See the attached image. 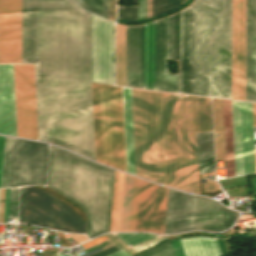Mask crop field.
I'll use <instances>...</instances> for the list:
<instances>
[{"mask_svg": "<svg viewBox=\"0 0 256 256\" xmlns=\"http://www.w3.org/2000/svg\"><path fill=\"white\" fill-rule=\"evenodd\" d=\"M155 21L144 25V88L154 89Z\"/></svg>", "mask_w": 256, "mask_h": 256, "instance_id": "crop-field-20", "label": "crop field"}, {"mask_svg": "<svg viewBox=\"0 0 256 256\" xmlns=\"http://www.w3.org/2000/svg\"><path fill=\"white\" fill-rule=\"evenodd\" d=\"M137 256H175V253L169 241Z\"/></svg>", "mask_w": 256, "mask_h": 256, "instance_id": "crop-field-29", "label": "crop field"}, {"mask_svg": "<svg viewBox=\"0 0 256 256\" xmlns=\"http://www.w3.org/2000/svg\"><path fill=\"white\" fill-rule=\"evenodd\" d=\"M8 195H9V188L6 189L4 223H7Z\"/></svg>", "mask_w": 256, "mask_h": 256, "instance_id": "crop-field-45", "label": "crop field"}, {"mask_svg": "<svg viewBox=\"0 0 256 256\" xmlns=\"http://www.w3.org/2000/svg\"><path fill=\"white\" fill-rule=\"evenodd\" d=\"M116 85L125 86V26L116 24Z\"/></svg>", "mask_w": 256, "mask_h": 256, "instance_id": "crop-field-25", "label": "crop field"}, {"mask_svg": "<svg viewBox=\"0 0 256 256\" xmlns=\"http://www.w3.org/2000/svg\"><path fill=\"white\" fill-rule=\"evenodd\" d=\"M166 11V0H152V16Z\"/></svg>", "mask_w": 256, "mask_h": 256, "instance_id": "crop-field-34", "label": "crop field"}, {"mask_svg": "<svg viewBox=\"0 0 256 256\" xmlns=\"http://www.w3.org/2000/svg\"><path fill=\"white\" fill-rule=\"evenodd\" d=\"M5 189H1L0 197V223H3Z\"/></svg>", "mask_w": 256, "mask_h": 256, "instance_id": "crop-field-41", "label": "crop field"}, {"mask_svg": "<svg viewBox=\"0 0 256 256\" xmlns=\"http://www.w3.org/2000/svg\"><path fill=\"white\" fill-rule=\"evenodd\" d=\"M0 134L16 136L12 65H0Z\"/></svg>", "mask_w": 256, "mask_h": 256, "instance_id": "crop-field-15", "label": "crop field"}, {"mask_svg": "<svg viewBox=\"0 0 256 256\" xmlns=\"http://www.w3.org/2000/svg\"><path fill=\"white\" fill-rule=\"evenodd\" d=\"M167 58H174V14L168 17Z\"/></svg>", "mask_w": 256, "mask_h": 256, "instance_id": "crop-field-31", "label": "crop field"}, {"mask_svg": "<svg viewBox=\"0 0 256 256\" xmlns=\"http://www.w3.org/2000/svg\"><path fill=\"white\" fill-rule=\"evenodd\" d=\"M180 240L186 256H222L215 238L193 237Z\"/></svg>", "mask_w": 256, "mask_h": 256, "instance_id": "crop-field-22", "label": "crop field"}, {"mask_svg": "<svg viewBox=\"0 0 256 256\" xmlns=\"http://www.w3.org/2000/svg\"><path fill=\"white\" fill-rule=\"evenodd\" d=\"M226 177L234 176L230 101L222 100Z\"/></svg>", "mask_w": 256, "mask_h": 256, "instance_id": "crop-field-24", "label": "crop field"}, {"mask_svg": "<svg viewBox=\"0 0 256 256\" xmlns=\"http://www.w3.org/2000/svg\"><path fill=\"white\" fill-rule=\"evenodd\" d=\"M167 188L140 179L135 231L163 234Z\"/></svg>", "mask_w": 256, "mask_h": 256, "instance_id": "crop-field-12", "label": "crop field"}, {"mask_svg": "<svg viewBox=\"0 0 256 256\" xmlns=\"http://www.w3.org/2000/svg\"><path fill=\"white\" fill-rule=\"evenodd\" d=\"M196 141L200 174L214 171L212 131L196 134Z\"/></svg>", "mask_w": 256, "mask_h": 256, "instance_id": "crop-field-23", "label": "crop field"}, {"mask_svg": "<svg viewBox=\"0 0 256 256\" xmlns=\"http://www.w3.org/2000/svg\"><path fill=\"white\" fill-rule=\"evenodd\" d=\"M25 187H21L19 223H23Z\"/></svg>", "mask_w": 256, "mask_h": 256, "instance_id": "crop-field-38", "label": "crop field"}, {"mask_svg": "<svg viewBox=\"0 0 256 256\" xmlns=\"http://www.w3.org/2000/svg\"><path fill=\"white\" fill-rule=\"evenodd\" d=\"M232 0H209L208 96L231 99ZM246 0H233L232 99L245 100Z\"/></svg>", "mask_w": 256, "mask_h": 256, "instance_id": "crop-field-3", "label": "crop field"}, {"mask_svg": "<svg viewBox=\"0 0 256 256\" xmlns=\"http://www.w3.org/2000/svg\"><path fill=\"white\" fill-rule=\"evenodd\" d=\"M236 176L255 173L251 103L232 101Z\"/></svg>", "mask_w": 256, "mask_h": 256, "instance_id": "crop-field-11", "label": "crop field"}, {"mask_svg": "<svg viewBox=\"0 0 256 256\" xmlns=\"http://www.w3.org/2000/svg\"><path fill=\"white\" fill-rule=\"evenodd\" d=\"M139 179L126 175L119 231H134Z\"/></svg>", "mask_w": 256, "mask_h": 256, "instance_id": "crop-field-19", "label": "crop field"}, {"mask_svg": "<svg viewBox=\"0 0 256 256\" xmlns=\"http://www.w3.org/2000/svg\"><path fill=\"white\" fill-rule=\"evenodd\" d=\"M117 176H118V172H117V171H115L110 231H112V226H113V216H114V206H115V196H116Z\"/></svg>", "mask_w": 256, "mask_h": 256, "instance_id": "crop-field-37", "label": "crop field"}, {"mask_svg": "<svg viewBox=\"0 0 256 256\" xmlns=\"http://www.w3.org/2000/svg\"><path fill=\"white\" fill-rule=\"evenodd\" d=\"M171 242H172V245L174 247L176 256H185L182 245L180 243V240L177 239V240H173Z\"/></svg>", "mask_w": 256, "mask_h": 256, "instance_id": "crop-field-39", "label": "crop field"}, {"mask_svg": "<svg viewBox=\"0 0 256 256\" xmlns=\"http://www.w3.org/2000/svg\"><path fill=\"white\" fill-rule=\"evenodd\" d=\"M24 223L66 232L84 233L85 221L51 194L26 187Z\"/></svg>", "mask_w": 256, "mask_h": 256, "instance_id": "crop-field-7", "label": "crop field"}, {"mask_svg": "<svg viewBox=\"0 0 256 256\" xmlns=\"http://www.w3.org/2000/svg\"><path fill=\"white\" fill-rule=\"evenodd\" d=\"M49 145L13 138L9 187L45 185Z\"/></svg>", "mask_w": 256, "mask_h": 256, "instance_id": "crop-field-8", "label": "crop field"}, {"mask_svg": "<svg viewBox=\"0 0 256 256\" xmlns=\"http://www.w3.org/2000/svg\"><path fill=\"white\" fill-rule=\"evenodd\" d=\"M151 17V0H147V18Z\"/></svg>", "mask_w": 256, "mask_h": 256, "instance_id": "crop-field-48", "label": "crop field"}, {"mask_svg": "<svg viewBox=\"0 0 256 256\" xmlns=\"http://www.w3.org/2000/svg\"><path fill=\"white\" fill-rule=\"evenodd\" d=\"M252 109H253L254 126H256V104L252 103Z\"/></svg>", "mask_w": 256, "mask_h": 256, "instance_id": "crop-field-49", "label": "crop field"}, {"mask_svg": "<svg viewBox=\"0 0 256 256\" xmlns=\"http://www.w3.org/2000/svg\"><path fill=\"white\" fill-rule=\"evenodd\" d=\"M0 63H21V0H0Z\"/></svg>", "mask_w": 256, "mask_h": 256, "instance_id": "crop-field-13", "label": "crop field"}, {"mask_svg": "<svg viewBox=\"0 0 256 256\" xmlns=\"http://www.w3.org/2000/svg\"><path fill=\"white\" fill-rule=\"evenodd\" d=\"M136 175L199 194L195 133L212 130L210 98L131 88Z\"/></svg>", "mask_w": 256, "mask_h": 256, "instance_id": "crop-field-2", "label": "crop field"}, {"mask_svg": "<svg viewBox=\"0 0 256 256\" xmlns=\"http://www.w3.org/2000/svg\"><path fill=\"white\" fill-rule=\"evenodd\" d=\"M127 171L135 175L130 88L122 87Z\"/></svg>", "mask_w": 256, "mask_h": 256, "instance_id": "crop-field-21", "label": "crop field"}, {"mask_svg": "<svg viewBox=\"0 0 256 256\" xmlns=\"http://www.w3.org/2000/svg\"><path fill=\"white\" fill-rule=\"evenodd\" d=\"M182 4V0H167V11H170Z\"/></svg>", "mask_w": 256, "mask_h": 256, "instance_id": "crop-field-42", "label": "crop field"}, {"mask_svg": "<svg viewBox=\"0 0 256 256\" xmlns=\"http://www.w3.org/2000/svg\"><path fill=\"white\" fill-rule=\"evenodd\" d=\"M91 89L96 160L126 171L121 87Z\"/></svg>", "mask_w": 256, "mask_h": 256, "instance_id": "crop-field-6", "label": "crop field"}, {"mask_svg": "<svg viewBox=\"0 0 256 256\" xmlns=\"http://www.w3.org/2000/svg\"><path fill=\"white\" fill-rule=\"evenodd\" d=\"M91 81L114 84V23L92 14Z\"/></svg>", "mask_w": 256, "mask_h": 256, "instance_id": "crop-field-9", "label": "crop field"}, {"mask_svg": "<svg viewBox=\"0 0 256 256\" xmlns=\"http://www.w3.org/2000/svg\"><path fill=\"white\" fill-rule=\"evenodd\" d=\"M126 86L143 88V25L126 26Z\"/></svg>", "mask_w": 256, "mask_h": 256, "instance_id": "crop-field-14", "label": "crop field"}, {"mask_svg": "<svg viewBox=\"0 0 256 256\" xmlns=\"http://www.w3.org/2000/svg\"><path fill=\"white\" fill-rule=\"evenodd\" d=\"M119 249H121V248L119 246L115 245V246H113V247H111L109 249H106V250H104V251H102L100 253H97V254H95L93 256H105V255H108V254H110V253H112L114 251H117Z\"/></svg>", "mask_w": 256, "mask_h": 256, "instance_id": "crop-field-43", "label": "crop field"}, {"mask_svg": "<svg viewBox=\"0 0 256 256\" xmlns=\"http://www.w3.org/2000/svg\"><path fill=\"white\" fill-rule=\"evenodd\" d=\"M208 0L180 12V92L207 96Z\"/></svg>", "mask_w": 256, "mask_h": 256, "instance_id": "crop-field-5", "label": "crop field"}, {"mask_svg": "<svg viewBox=\"0 0 256 256\" xmlns=\"http://www.w3.org/2000/svg\"><path fill=\"white\" fill-rule=\"evenodd\" d=\"M56 233H57V236H58L59 241H60V246H71V244L64 237L63 233H60V232H56Z\"/></svg>", "mask_w": 256, "mask_h": 256, "instance_id": "crop-field-44", "label": "crop field"}, {"mask_svg": "<svg viewBox=\"0 0 256 256\" xmlns=\"http://www.w3.org/2000/svg\"><path fill=\"white\" fill-rule=\"evenodd\" d=\"M18 188H10L8 217H17Z\"/></svg>", "mask_w": 256, "mask_h": 256, "instance_id": "crop-field-32", "label": "crop field"}, {"mask_svg": "<svg viewBox=\"0 0 256 256\" xmlns=\"http://www.w3.org/2000/svg\"><path fill=\"white\" fill-rule=\"evenodd\" d=\"M167 17L156 21L155 89L177 92V74L166 73Z\"/></svg>", "mask_w": 256, "mask_h": 256, "instance_id": "crop-field-17", "label": "crop field"}, {"mask_svg": "<svg viewBox=\"0 0 256 256\" xmlns=\"http://www.w3.org/2000/svg\"><path fill=\"white\" fill-rule=\"evenodd\" d=\"M84 9L99 14L107 18V1L108 0H75Z\"/></svg>", "mask_w": 256, "mask_h": 256, "instance_id": "crop-field-26", "label": "crop field"}, {"mask_svg": "<svg viewBox=\"0 0 256 256\" xmlns=\"http://www.w3.org/2000/svg\"><path fill=\"white\" fill-rule=\"evenodd\" d=\"M17 136L37 139L33 65H13Z\"/></svg>", "mask_w": 256, "mask_h": 256, "instance_id": "crop-field-10", "label": "crop field"}, {"mask_svg": "<svg viewBox=\"0 0 256 256\" xmlns=\"http://www.w3.org/2000/svg\"><path fill=\"white\" fill-rule=\"evenodd\" d=\"M114 170L51 146L47 187L78 205L86 234L109 232Z\"/></svg>", "mask_w": 256, "mask_h": 256, "instance_id": "crop-field-4", "label": "crop field"}, {"mask_svg": "<svg viewBox=\"0 0 256 256\" xmlns=\"http://www.w3.org/2000/svg\"><path fill=\"white\" fill-rule=\"evenodd\" d=\"M137 6H118V17L127 20L136 19Z\"/></svg>", "mask_w": 256, "mask_h": 256, "instance_id": "crop-field-33", "label": "crop field"}, {"mask_svg": "<svg viewBox=\"0 0 256 256\" xmlns=\"http://www.w3.org/2000/svg\"><path fill=\"white\" fill-rule=\"evenodd\" d=\"M236 212L229 211L220 204L200 197L197 229L222 231L234 222Z\"/></svg>", "mask_w": 256, "mask_h": 256, "instance_id": "crop-field-18", "label": "crop field"}, {"mask_svg": "<svg viewBox=\"0 0 256 256\" xmlns=\"http://www.w3.org/2000/svg\"><path fill=\"white\" fill-rule=\"evenodd\" d=\"M216 239H217V238H216ZM219 240H220V242H221V245H222V248H223V250H224V253L226 254L225 249H224V246H223V243H222V240H221V239H219ZM219 240L217 239L219 246H221L220 243H219ZM222 248H220V249H221L222 254L224 255V253H223V251H222Z\"/></svg>", "mask_w": 256, "mask_h": 256, "instance_id": "crop-field-50", "label": "crop field"}, {"mask_svg": "<svg viewBox=\"0 0 256 256\" xmlns=\"http://www.w3.org/2000/svg\"><path fill=\"white\" fill-rule=\"evenodd\" d=\"M108 256H130L128 253H126L123 249L117 251V252H114Z\"/></svg>", "mask_w": 256, "mask_h": 256, "instance_id": "crop-field-47", "label": "crop field"}, {"mask_svg": "<svg viewBox=\"0 0 256 256\" xmlns=\"http://www.w3.org/2000/svg\"><path fill=\"white\" fill-rule=\"evenodd\" d=\"M22 62L35 63L39 139L95 160L90 14L72 0H22Z\"/></svg>", "mask_w": 256, "mask_h": 256, "instance_id": "crop-field-1", "label": "crop field"}, {"mask_svg": "<svg viewBox=\"0 0 256 256\" xmlns=\"http://www.w3.org/2000/svg\"><path fill=\"white\" fill-rule=\"evenodd\" d=\"M185 0H183V2H184Z\"/></svg>", "mask_w": 256, "mask_h": 256, "instance_id": "crop-field-51", "label": "crop field"}, {"mask_svg": "<svg viewBox=\"0 0 256 256\" xmlns=\"http://www.w3.org/2000/svg\"><path fill=\"white\" fill-rule=\"evenodd\" d=\"M246 100L256 102V0H247Z\"/></svg>", "mask_w": 256, "mask_h": 256, "instance_id": "crop-field-16", "label": "crop field"}, {"mask_svg": "<svg viewBox=\"0 0 256 256\" xmlns=\"http://www.w3.org/2000/svg\"><path fill=\"white\" fill-rule=\"evenodd\" d=\"M127 246L131 247L143 240L157 237L159 235L142 234V233H126V234H114Z\"/></svg>", "mask_w": 256, "mask_h": 256, "instance_id": "crop-field-28", "label": "crop field"}, {"mask_svg": "<svg viewBox=\"0 0 256 256\" xmlns=\"http://www.w3.org/2000/svg\"><path fill=\"white\" fill-rule=\"evenodd\" d=\"M105 239H107V237L106 236H103V237H100V238H98V239H95V240H93V241H90V242H88V243H86V244H84V245H82L84 248H86V247H88V246H91V245H93V244H95V243H98V242H100V241H103V240H105Z\"/></svg>", "mask_w": 256, "mask_h": 256, "instance_id": "crop-field-46", "label": "crop field"}, {"mask_svg": "<svg viewBox=\"0 0 256 256\" xmlns=\"http://www.w3.org/2000/svg\"><path fill=\"white\" fill-rule=\"evenodd\" d=\"M4 142H5V137L0 136V183H1V173H2Z\"/></svg>", "mask_w": 256, "mask_h": 256, "instance_id": "crop-field-40", "label": "crop field"}, {"mask_svg": "<svg viewBox=\"0 0 256 256\" xmlns=\"http://www.w3.org/2000/svg\"><path fill=\"white\" fill-rule=\"evenodd\" d=\"M12 138L6 137L1 188L8 187Z\"/></svg>", "mask_w": 256, "mask_h": 256, "instance_id": "crop-field-27", "label": "crop field"}, {"mask_svg": "<svg viewBox=\"0 0 256 256\" xmlns=\"http://www.w3.org/2000/svg\"><path fill=\"white\" fill-rule=\"evenodd\" d=\"M146 18V0H138L137 19Z\"/></svg>", "mask_w": 256, "mask_h": 256, "instance_id": "crop-field-36", "label": "crop field"}, {"mask_svg": "<svg viewBox=\"0 0 256 256\" xmlns=\"http://www.w3.org/2000/svg\"><path fill=\"white\" fill-rule=\"evenodd\" d=\"M123 178H124V174L119 172L113 231H118V227H119Z\"/></svg>", "mask_w": 256, "mask_h": 256, "instance_id": "crop-field-30", "label": "crop field"}, {"mask_svg": "<svg viewBox=\"0 0 256 256\" xmlns=\"http://www.w3.org/2000/svg\"><path fill=\"white\" fill-rule=\"evenodd\" d=\"M175 60H179V12L175 14Z\"/></svg>", "mask_w": 256, "mask_h": 256, "instance_id": "crop-field-35", "label": "crop field"}]
</instances>
